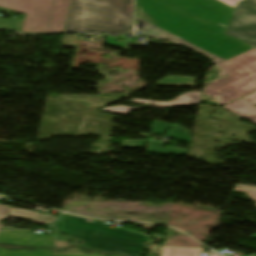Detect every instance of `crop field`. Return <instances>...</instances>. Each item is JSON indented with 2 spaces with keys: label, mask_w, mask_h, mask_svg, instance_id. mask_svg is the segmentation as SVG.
<instances>
[{
  "label": "crop field",
  "mask_w": 256,
  "mask_h": 256,
  "mask_svg": "<svg viewBox=\"0 0 256 256\" xmlns=\"http://www.w3.org/2000/svg\"><path fill=\"white\" fill-rule=\"evenodd\" d=\"M54 245L55 250H61L69 246L68 243H66L65 241H54Z\"/></svg>",
  "instance_id": "23"
},
{
  "label": "crop field",
  "mask_w": 256,
  "mask_h": 256,
  "mask_svg": "<svg viewBox=\"0 0 256 256\" xmlns=\"http://www.w3.org/2000/svg\"><path fill=\"white\" fill-rule=\"evenodd\" d=\"M226 109L256 124V107L244 100H238L225 105Z\"/></svg>",
  "instance_id": "9"
},
{
  "label": "crop field",
  "mask_w": 256,
  "mask_h": 256,
  "mask_svg": "<svg viewBox=\"0 0 256 256\" xmlns=\"http://www.w3.org/2000/svg\"><path fill=\"white\" fill-rule=\"evenodd\" d=\"M10 206L0 204V220L7 219L9 215ZM1 228V224H0Z\"/></svg>",
  "instance_id": "19"
},
{
  "label": "crop field",
  "mask_w": 256,
  "mask_h": 256,
  "mask_svg": "<svg viewBox=\"0 0 256 256\" xmlns=\"http://www.w3.org/2000/svg\"><path fill=\"white\" fill-rule=\"evenodd\" d=\"M15 24L16 21L13 19H0V28H9L14 30Z\"/></svg>",
  "instance_id": "18"
},
{
  "label": "crop field",
  "mask_w": 256,
  "mask_h": 256,
  "mask_svg": "<svg viewBox=\"0 0 256 256\" xmlns=\"http://www.w3.org/2000/svg\"><path fill=\"white\" fill-rule=\"evenodd\" d=\"M55 254H82L78 248H71L62 252H55Z\"/></svg>",
  "instance_id": "22"
},
{
  "label": "crop field",
  "mask_w": 256,
  "mask_h": 256,
  "mask_svg": "<svg viewBox=\"0 0 256 256\" xmlns=\"http://www.w3.org/2000/svg\"><path fill=\"white\" fill-rule=\"evenodd\" d=\"M132 0H72L65 32L118 34L131 29Z\"/></svg>",
  "instance_id": "3"
},
{
  "label": "crop field",
  "mask_w": 256,
  "mask_h": 256,
  "mask_svg": "<svg viewBox=\"0 0 256 256\" xmlns=\"http://www.w3.org/2000/svg\"><path fill=\"white\" fill-rule=\"evenodd\" d=\"M201 96H202V93L188 92L168 102H152V103H155L152 106L171 107V106H177V105L199 104L201 100ZM131 102L148 104L151 101L133 99ZM142 107H149V106H142ZM138 108H141V107H138ZM134 109L136 108L118 106V107H106L100 110L127 115L130 111Z\"/></svg>",
  "instance_id": "8"
},
{
  "label": "crop field",
  "mask_w": 256,
  "mask_h": 256,
  "mask_svg": "<svg viewBox=\"0 0 256 256\" xmlns=\"http://www.w3.org/2000/svg\"><path fill=\"white\" fill-rule=\"evenodd\" d=\"M226 32L256 45V8L239 4Z\"/></svg>",
  "instance_id": "6"
},
{
  "label": "crop field",
  "mask_w": 256,
  "mask_h": 256,
  "mask_svg": "<svg viewBox=\"0 0 256 256\" xmlns=\"http://www.w3.org/2000/svg\"><path fill=\"white\" fill-rule=\"evenodd\" d=\"M250 237L256 238V234H254V235H251Z\"/></svg>",
  "instance_id": "28"
},
{
  "label": "crop field",
  "mask_w": 256,
  "mask_h": 256,
  "mask_svg": "<svg viewBox=\"0 0 256 256\" xmlns=\"http://www.w3.org/2000/svg\"><path fill=\"white\" fill-rule=\"evenodd\" d=\"M106 43L111 44V45H115V46H119V47L124 48V49L127 50L126 42L118 41L117 37H115V36L107 35Z\"/></svg>",
  "instance_id": "17"
},
{
  "label": "crop field",
  "mask_w": 256,
  "mask_h": 256,
  "mask_svg": "<svg viewBox=\"0 0 256 256\" xmlns=\"http://www.w3.org/2000/svg\"><path fill=\"white\" fill-rule=\"evenodd\" d=\"M170 126L172 125H169L167 123H164V122H159V121H154L153 124H152V129H153V132L151 134H149L148 136H151L155 133L161 135L163 134L164 131H166Z\"/></svg>",
  "instance_id": "15"
},
{
  "label": "crop field",
  "mask_w": 256,
  "mask_h": 256,
  "mask_svg": "<svg viewBox=\"0 0 256 256\" xmlns=\"http://www.w3.org/2000/svg\"><path fill=\"white\" fill-rule=\"evenodd\" d=\"M241 4L256 7V0H244L241 2Z\"/></svg>",
  "instance_id": "25"
},
{
  "label": "crop field",
  "mask_w": 256,
  "mask_h": 256,
  "mask_svg": "<svg viewBox=\"0 0 256 256\" xmlns=\"http://www.w3.org/2000/svg\"><path fill=\"white\" fill-rule=\"evenodd\" d=\"M203 248L164 246L161 256H201Z\"/></svg>",
  "instance_id": "11"
},
{
  "label": "crop field",
  "mask_w": 256,
  "mask_h": 256,
  "mask_svg": "<svg viewBox=\"0 0 256 256\" xmlns=\"http://www.w3.org/2000/svg\"><path fill=\"white\" fill-rule=\"evenodd\" d=\"M144 143L142 140L124 141L123 147H143Z\"/></svg>",
  "instance_id": "20"
},
{
  "label": "crop field",
  "mask_w": 256,
  "mask_h": 256,
  "mask_svg": "<svg viewBox=\"0 0 256 256\" xmlns=\"http://www.w3.org/2000/svg\"><path fill=\"white\" fill-rule=\"evenodd\" d=\"M55 256H120V255L111 254V255H55Z\"/></svg>",
  "instance_id": "26"
},
{
  "label": "crop field",
  "mask_w": 256,
  "mask_h": 256,
  "mask_svg": "<svg viewBox=\"0 0 256 256\" xmlns=\"http://www.w3.org/2000/svg\"><path fill=\"white\" fill-rule=\"evenodd\" d=\"M243 99L252 103V104H254V105H256V92L247 96V97H245V98H243Z\"/></svg>",
  "instance_id": "24"
},
{
  "label": "crop field",
  "mask_w": 256,
  "mask_h": 256,
  "mask_svg": "<svg viewBox=\"0 0 256 256\" xmlns=\"http://www.w3.org/2000/svg\"><path fill=\"white\" fill-rule=\"evenodd\" d=\"M233 12L214 0H135L144 34L184 44L214 65L255 47L224 34Z\"/></svg>",
  "instance_id": "1"
},
{
  "label": "crop field",
  "mask_w": 256,
  "mask_h": 256,
  "mask_svg": "<svg viewBox=\"0 0 256 256\" xmlns=\"http://www.w3.org/2000/svg\"><path fill=\"white\" fill-rule=\"evenodd\" d=\"M31 231L0 232V245L49 247L52 249L50 236L30 235ZM50 239V240H47Z\"/></svg>",
  "instance_id": "7"
},
{
  "label": "crop field",
  "mask_w": 256,
  "mask_h": 256,
  "mask_svg": "<svg viewBox=\"0 0 256 256\" xmlns=\"http://www.w3.org/2000/svg\"><path fill=\"white\" fill-rule=\"evenodd\" d=\"M168 77H175L177 79H162L156 82V85H173V86H191L194 77H181V76H168ZM187 82L191 84H187Z\"/></svg>",
  "instance_id": "13"
},
{
  "label": "crop field",
  "mask_w": 256,
  "mask_h": 256,
  "mask_svg": "<svg viewBox=\"0 0 256 256\" xmlns=\"http://www.w3.org/2000/svg\"><path fill=\"white\" fill-rule=\"evenodd\" d=\"M189 131L181 128L177 125L172 126L166 133L165 135L170 136L172 138L178 139L180 141L184 140L186 142H190V137H189Z\"/></svg>",
  "instance_id": "14"
},
{
  "label": "crop field",
  "mask_w": 256,
  "mask_h": 256,
  "mask_svg": "<svg viewBox=\"0 0 256 256\" xmlns=\"http://www.w3.org/2000/svg\"><path fill=\"white\" fill-rule=\"evenodd\" d=\"M233 9H235L237 3L240 1V0H217Z\"/></svg>",
  "instance_id": "21"
},
{
  "label": "crop field",
  "mask_w": 256,
  "mask_h": 256,
  "mask_svg": "<svg viewBox=\"0 0 256 256\" xmlns=\"http://www.w3.org/2000/svg\"><path fill=\"white\" fill-rule=\"evenodd\" d=\"M0 256H53L47 249H24L0 247Z\"/></svg>",
  "instance_id": "10"
},
{
  "label": "crop field",
  "mask_w": 256,
  "mask_h": 256,
  "mask_svg": "<svg viewBox=\"0 0 256 256\" xmlns=\"http://www.w3.org/2000/svg\"><path fill=\"white\" fill-rule=\"evenodd\" d=\"M71 0H0V10L28 15L19 20V32L40 34L63 32Z\"/></svg>",
  "instance_id": "5"
},
{
  "label": "crop field",
  "mask_w": 256,
  "mask_h": 256,
  "mask_svg": "<svg viewBox=\"0 0 256 256\" xmlns=\"http://www.w3.org/2000/svg\"><path fill=\"white\" fill-rule=\"evenodd\" d=\"M216 66L220 75L203 94L219 98L220 106L256 91V47Z\"/></svg>",
  "instance_id": "4"
},
{
  "label": "crop field",
  "mask_w": 256,
  "mask_h": 256,
  "mask_svg": "<svg viewBox=\"0 0 256 256\" xmlns=\"http://www.w3.org/2000/svg\"><path fill=\"white\" fill-rule=\"evenodd\" d=\"M103 223L99 220L88 222L77 216H61L55 226L58 233L83 240L84 247L96 248L103 253L117 252L125 256H140L148 240L147 235L125 229H109Z\"/></svg>",
  "instance_id": "2"
},
{
  "label": "crop field",
  "mask_w": 256,
  "mask_h": 256,
  "mask_svg": "<svg viewBox=\"0 0 256 256\" xmlns=\"http://www.w3.org/2000/svg\"><path fill=\"white\" fill-rule=\"evenodd\" d=\"M211 256H219V255H217V254L214 253V254H212Z\"/></svg>",
  "instance_id": "29"
},
{
  "label": "crop field",
  "mask_w": 256,
  "mask_h": 256,
  "mask_svg": "<svg viewBox=\"0 0 256 256\" xmlns=\"http://www.w3.org/2000/svg\"><path fill=\"white\" fill-rule=\"evenodd\" d=\"M2 229H15V228H11V227H3Z\"/></svg>",
  "instance_id": "27"
},
{
  "label": "crop field",
  "mask_w": 256,
  "mask_h": 256,
  "mask_svg": "<svg viewBox=\"0 0 256 256\" xmlns=\"http://www.w3.org/2000/svg\"><path fill=\"white\" fill-rule=\"evenodd\" d=\"M163 143H155L148 141V152L151 153H158V154H167V155H183L186 153L187 150L185 149H168V148H161Z\"/></svg>",
  "instance_id": "12"
},
{
  "label": "crop field",
  "mask_w": 256,
  "mask_h": 256,
  "mask_svg": "<svg viewBox=\"0 0 256 256\" xmlns=\"http://www.w3.org/2000/svg\"><path fill=\"white\" fill-rule=\"evenodd\" d=\"M234 191L246 192L250 199L256 201V187L235 185Z\"/></svg>",
  "instance_id": "16"
}]
</instances>
